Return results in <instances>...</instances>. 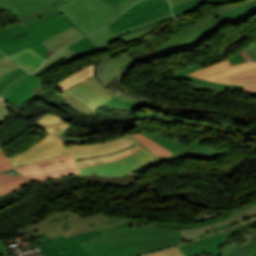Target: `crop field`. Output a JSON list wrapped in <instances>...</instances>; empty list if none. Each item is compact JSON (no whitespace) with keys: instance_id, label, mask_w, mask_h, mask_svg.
Wrapping results in <instances>:
<instances>
[{"instance_id":"crop-field-34","label":"crop field","mask_w":256,"mask_h":256,"mask_svg":"<svg viewBox=\"0 0 256 256\" xmlns=\"http://www.w3.org/2000/svg\"><path fill=\"white\" fill-rule=\"evenodd\" d=\"M163 23L142 29V30H138L135 32H132L130 34L124 35L119 37L120 39H123L127 44L136 40H139L141 38H143L144 36L150 34L152 31H154L158 26H160Z\"/></svg>"},{"instance_id":"crop-field-17","label":"crop field","mask_w":256,"mask_h":256,"mask_svg":"<svg viewBox=\"0 0 256 256\" xmlns=\"http://www.w3.org/2000/svg\"><path fill=\"white\" fill-rule=\"evenodd\" d=\"M219 154L218 152L212 151L210 149L204 148L199 145V143L192 141L186 147L180 149L171 156H180V157H194V158H203V159H214Z\"/></svg>"},{"instance_id":"crop-field-37","label":"crop field","mask_w":256,"mask_h":256,"mask_svg":"<svg viewBox=\"0 0 256 256\" xmlns=\"http://www.w3.org/2000/svg\"><path fill=\"white\" fill-rule=\"evenodd\" d=\"M17 67L19 66L0 51V78Z\"/></svg>"},{"instance_id":"crop-field-64","label":"crop field","mask_w":256,"mask_h":256,"mask_svg":"<svg viewBox=\"0 0 256 256\" xmlns=\"http://www.w3.org/2000/svg\"><path fill=\"white\" fill-rule=\"evenodd\" d=\"M241 54L244 56V58L246 59V61H251V57L248 55V53L243 49L240 51Z\"/></svg>"},{"instance_id":"crop-field-9","label":"crop field","mask_w":256,"mask_h":256,"mask_svg":"<svg viewBox=\"0 0 256 256\" xmlns=\"http://www.w3.org/2000/svg\"><path fill=\"white\" fill-rule=\"evenodd\" d=\"M207 80L244 85L243 90L256 91V62L220 73Z\"/></svg>"},{"instance_id":"crop-field-24","label":"crop field","mask_w":256,"mask_h":256,"mask_svg":"<svg viewBox=\"0 0 256 256\" xmlns=\"http://www.w3.org/2000/svg\"><path fill=\"white\" fill-rule=\"evenodd\" d=\"M251 62H254V61H251ZM247 63H250V62H245V63H241V64H238V65L232 66L229 63V61L226 60V61L220 62L218 64L212 65L210 67H207V68H204V69L192 72V73L187 74V75H190V76H193V77H196V78L205 79V78L211 77V76H213L215 74H218L220 72H223V71H226V70H229V69H232V68H235V67L247 64Z\"/></svg>"},{"instance_id":"crop-field-59","label":"crop field","mask_w":256,"mask_h":256,"mask_svg":"<svg viewBox=\"0 0 256 256\" xmlns=\"http://www.w3.org/2000/svg\"><path fill=\"white\" fill-rule=\"evenodd\" d=\"M64 142H82L81 138H69V137H64L61 139Z\"/></svg>"},{"instance_id":"crop-field-14","label":"crop field","mask_w":256,"mask_h":256,"mask_svg":"<svg viewBox=\"0 0 256 256\" xmlns=\"http://www.w3.org/2000/svg\"><path fill=\"white\" fill-rule=\"evenodd\" d=\"M54 0H0V11L6 9L13 17L21 19L47 6Z\"/></svg>"},{"instance_id":"crop-field-40","label":"crop field","mask_w":256,"mask_h":256,"mask_svg":"<svg viewBox=\"0 0 256 256\" xmlns=\"http://www.w3.org/2000/svg\"><path fill=\"white\" fill-rule=\"evenodd\" d=\"M64 100H66L67 102H69L71 105H73L75 108H77L78 110L88 114L90 111H92L93 109H91L90 107L86 106L85 104H83L82 102L78 101L77 99H75L74 97L68 95L67 93L64 94Z\"/></svg>"},{"instance_id":"crop-field-15","label":"crop field","mask_w":256,"mask_h":256,"mask_svg":"<svg viewBox=\"0 0 256 256\" xmlns=\"http://www.w3.org/2000/svg\"><path fill=\"white\" fill-rule=\"evenodd\" d=\"M256 13V0L233 4L215 12L220 22L235 26Z\"/></svg>"},{"instance_id":"crop-field-45","label":"crop field","mask_w":256,"mask_h":256,"mask_svg":"<svg viewBox=\"0 0 256 256\" xmlns=\"http://www.w3.org/2000/svg\"><path fill=\"white\" fill-rule=\"evenodd\" d=\"M158 105H160V104H158ZM143 106H146V107H153L154 109H161V110H164V111H168V112H170V113H173V114H182L181 111L200 112V111H194V110L175 109V108H170V107L163 106V105H160L161 107H158V106H154V105L144 104ZM204 113H207V112H204Z\"/></svg>"},{"instance_id":"crop-field-43","label":"crop field","mask_w":256,"mask_h":256,"mask_svg":"<svg viewBox=\"0 0 256 256\" xmlns=\"http://www.w3.org/2000/svg\"><path fill=\"white\" fill-rule=\"evenodd\" d=\"M32 50L43 56L44 58H49L54 53L50 51L46 46H44L42 43L30 47Z\"/></svg>"},{"instance_id":"crop-field-55","label":"crop field","mask_w":256,"mask_h":256,"mask_svg":"<svg viewBox=\"0 0 256 256\" xmlns=\"http://www.w3.org/2000/svg\"><path fill=\"white\" fill-rule=\"evenodd\" d=\"M152 1H154V0H144V1H141V2H139V3H137V4H135L134 6L130 7V8L127 9L126 11L129 12V11H131V10H134V9L140 7V6H143V5H145V4H148V3L152 2Z\"/></svg>"},{"instance_id":"crop-field-35","label":"crop field","mask_w":256,"mask_h":256,"mask_svg":"<svg viewBox=\"0 0 256 256\" xmlns=\"http://www.w3.org/2000/svg\"><path fill=\"white\" fill-rule=\"evenodd\" d=\"M179 79H185L188 80L192 83H197L205 86H210V87H216V88H233V89H242L243 86H237V85H228V84H221V83H215L211 81H206V80H200L196 79L187 75L181 76L179 78H176V80Z\"/></svg>"},{"instance_id":"crop-field-29","label":"crop field","mask_w":256,"mask_h":256,"mask_svg":"<svg viewBox=\"0 0 256 256\" xmlns=\"http://www.w3.org/2000/svg\"><path fill=\"white\" fill-rule=\"evenodd\" d=\"M64 57L70 59V60H74L78 57H80L77 53L73 52L72 50H70L69 48L65 47L62 50H60L59 52H57L52 58H50L47 62H45L41 68L34 73V75L40 73L41 71L45 70L46 68L50 67L51 65H53L54 63L58 62L59 60L63 59Z\"/></svg>"},{"instance_id":"crop-field-7","label":"crop field","mask_w":256,"mask_h":256,"mask_svg":"<svg viewBox=\"0 0 256 256\" xmlns=\"http://www.w3.org/2000/svg\"><path fill=\"white\" fill-rule=\"evenodd\" d=\"M170 12L171 10L167 0H158L132 12L127 13L125 11L119 18L108 24V26L116 33L143 21L157 18Z\"/></svg>"},{"instance_id":"crop-field-25","label":"crop field","mask_w":256,"mask_h":256,"mask_svg":"<svg viewBox=\"0 0 256 256\" xmlns=\"http://www.w3.org/2000/svg\"><path fill=\"white\" fill-rule=\"evenodd\" d=\"M131 59L126 53L119 55L112 60H109L102 66L101 78L105 83H108L113 74L125 62Z\"/></svg>"},{"instance_id":"crop-field-49","label":"crop field","mask_w":256,"mask_h":256,"mask_svg":"<svg viewBox=\"0 0 256 256\" xmlns=\"http://www.w3.org/2000/svg\"><path fill=\"white\" fill-rule=\"evenodd\" d=\"M203 68L202 66H200L199 64L195 65V66H192V67H189L187 69H184L182 71H178V72H175V74L169 76L171 79L172 78H175V77H178L180 75H183V74H186V73H189V72H192V71H195V70H198V69H201Z\"/></svg>"},{"instance_id":"crop-field-48","label":"crop field","mask_w":256,"mask_h":256,"mask_svg":"<svg viewBox=\"0 0 256 256\" xmlns=\"http://www.w3.org/2000/svg\"><path fill=\"white\" fill-rule=\"evenodd\" d=\"M223 256H245V255L230 246H226L225 248H223Z\"/></svg>"},{"instance_id":"crop-field-19","label":"crop field","mask_w":256,"mask_h":256,"mask_svg":"<svg viewBox=\"0 0 256 256\" xmlns=\"http://www.w3.org/2000/svg\"><path fill=\"white\" fill-rule=\"evenodd\" d=\"M43 130H46L50 133H54L57 135L60 139L63 138L61 135L64 132V130L69 125L68 123L60 120L59 118L52 116V115H45L43 118H41L39 121H37L35 124H33Z\"/></svg>"},{"instance_id":"crop-field-31","label":"crop field","mask_w":256,"mask_h":256,"mask_svg":"<svg viewBox=\"0 0 256 256\" xmlns=\"http://www.w3.org/2000/svg\"><path fill=\"white\" fill-rule=\"evenodd\" d=\"M135 136L139 141H141L144 145H146L149 149H151L154 153L157 155H163V156H169L173 153L165 149L164 147L160 146L156 142L150 140L149 138L141 135V134H136L133 135Z\"/></svg>"},{"instance_id":"crop-field-65","label":"crop field","mask_w":256,"mask_h":256,"mask_svg":"<svg viewBox=\"0 0 256 256\" xmlns=\"http://www.w3.org/2000/svg\"><path fill=\"white\" fill-rule=\"evenodd\" d=\"M245 50L249 53L253 60L256 59V55L252 52V50L249 49V47L245 48Z\"/></svg>"},{"instance_id":"crop-field-13","label":"crop field","mask_w":256,"mask_h":256,"mask_svg":"<svg viewBox=\"0 0 256 256\" xmlns=\"http://www.w3.org/2000/svg\"><path fill=\"white\" fill-rule=\"evenodd\" d=\"M44 83L33 75L25 76L11 86L3 95L5 100L19 106L28 100L34 98L31 90L41 86Z\"/></svg>"},{"instance_id":"crop-field-11","label":"crop field","mask_w":256,"mask_h":256,"mask_svg":"<svg viewBox=\"0 0 256 256\" xmlns=\"http://www.w3.org/2000/svg\"><path fill=\"white\" fill-rule=\"evenodd\" d=\"M227 242L225 232L213 234L192 243L179 246L184 256H195L203 252L217 256L218 247Z\"/></svg>"},{"instance_id":"crop-field-26","label":"crop field","mask_w":256,"mask_h":256,"mask_svg":"<svg viewBox=\"0 0 256 256\" xmlns=\"http://www.w3.org/2000/svg\"><path fill=\"white\" fill-rule=\"evenodd\" d=\"M93 68L94 65H90L88 67H84L74 73H72L71 75L67 76L65 79H63L61 82L53 85V87H57V88H61V89H65L71 85H73L74 83L84 79L85 77L93 74Z\"/></svg>"},{"instance_id":"crop-field-61","label":"crop field","mask_w":256,"mask_h":256,"mask_svg":"<svg viewBox=\"0 0 256 256\" xmlns=\"http://www.w3.org/2000/svg\"><path fill=\"white\" fill-rule=\"evenodd\" d=\"M135 145V144H134ZM133 146V145H132ZM131 147V146H130ZM129 147L121 150V151H124L126 149H128ZM121 151H118V152H121ZM118 152H115V153H118ZM111 154H114V153H111ZM106 155H110V154H105V155H99V156H94V157H88V158H80V159H75L76 161H79V160H85V159H90V158H95V157H101V156H106Z\"/></svg>"},{"instance_id":"crop-field-36","label":"crop field","mask_w":256,"mask_h":256,"mask_svg":"<svg viewBox=\"0 0 256 256\" xmlns=\"http://www.w3.org/2000/svg\"><path fill=\"white\" fill-rule=\"evenodd\" d=\"M142 134H144V133H142ZM144 135L151 138L152 140L156 141L157 143L164 146L165 148H167L168 150H170L173 153L176 152L177 150H179L180 148H182L183 146H185L183 144L171 141L169 139H164L159 136H154V135H149V134H144Z\"/></svg>"},{"instance_id":"crop-field-63","label":"crop field","mask_w":256,"mask_h":256,"mask_svg":"<svg viewBox=\"0 0 256 256\" xmlns=\"http://www.w3.org/2000/svg\"><path fill=\"white\" fill-rule=\"evenodd\" d=\"M172 6L181 4L183 2L189 1V0H169Z\"/></svg>"},{"instance_id":"crop-field-30","label":"crop field","mask_w":256,"mask_h":256,"mask_svg":"<svg viewBox=\"0 0 256 256\" xmlns=\"http://www.w3.org/2000/svg\"><path fill=\"white\" fill-rule=\"evenodd\" d=\"M25 74H28V72L20 67L0 79V97L5 90Z\"/></svg>"},{"instance_id":"crop-field-60","label":"crop field","mask_w":256,"mask_h":256,"mask_svg":"<svg viewBox=\"0 0 256 256\" xmlns=\"http://www.w3.org/2000/svg\"><path fill=\"white\" fill-rule=\"evenodd\" d=\"M138 149H140V147L137 148L136 150H138ZM136 150H134V151H136ZM134 151H133V152H134ZM131 153H132V152H131ZM129 154H130V153H129ZM129 154H127V155H129ZM127 155H124V156H121V157H118V158H115V159H112V160L120 159V158H123V157H125V156H127ZM112 160H108V161H104V162H99V163H93V164H87V165H81V166L95 165V164H100V163L109 162V161H112ZM81 166H78V167H81Z\"/></svg>"},{"instance_id":"crop-field-22","label":"crop field","mask_w":256,"mask_h":256,"mask_svg":"<svg viewBox=\"0 0 256 256\" xmlns=\"http://www.w3.org/2000/svg\"><path fill=\"white\" fill-rule=\"evenodd\" d=\"M66 1H68V0H56L52 3H50L51 6L45 8L29 17H26V18L20 20V22H21L20 25L25 29L31 25H34L38 22H41V21L59 13L53 6L62 4Z\"/></svg>"},{"instance_id":"crop-field-28","label":"crop field","mask_w":256,"mask_h":256,"mask_svg":"<svg viewBox=\"0 0 256 256\" xmlns=\"http://www.w3.org/2000/svg\"><path fill=\"white\" fill-rule=\"evenodd\" d=\"M67 47L74 50L75 52H77L81 56H86V55H89L91 53L99 51L87 36L82 38L81 40L67 46Z\"/></svg>"},{"instance_id":"crop-field-6","label":"crop field","mask_w":256,"mask_h":256,"mask_svg":"<svg viewBox=\"0 0 256 256\" xmlns=\"http://www.w3.org/2000/svg\"><path fill=\"white\" fill-rule=\"evenodd\" d=\"M101 235L99 229L73 235L67 239L61 235L39 247L44 256H93L79 242ZM60 250L62 251L61 253L59 252Z\"/></svg>"},{"instance_id":"crop-field-33","label":"crop field","mask_w":256,"mask_h":256,"mask_svg":"<svg viewBox=\"0 0 256 256\" xmlns=\"http://www.w3.org/2000/svg\"><path fill=\"white\" fill-rule=\"evenodd\" d=\"M71 158H73L72 155L70 153H67V154H63V155L50 157V158H47V159H44V160H41V161H37V162H31V163L15 166V168L18 169V170H21V169H25V168H29V167H34V166H39V165H44V164H50V163H54V162H58V161L71 159Z\"/></svg>"},{"instance_id":"crop-field-18","label":"crop field","mask_w":256,"mask_h":256,"mask_svg":"<svg viewBox=\"0 0 256 256\" xmlns=\"http://www.w3.org/2000/svg\"><path fill=\"white\" fill-rule=\"evenodd\" d=\"M81 37H83V35H81L77 30L72 27L42 43L55 53L60 48Z\"/></svg>"},{"instance_id":"crop-field-39","label":"crop field","mask_w":256,"mask_h":256,"mask_svg":"<svg viewBox=\"0 0 256 256\" xmlns=\"http://www.w3.org/2000/svg\"><path fill=\"white\" fill-rule=\"evenodd\" d=\"M203 0H192L181 5L175 6L172 8L175 16H179L180 14L194 8L195 6L199 5Z\"/></svg>"},{"instance_id":"crop-field-58","label":"crop field","mask_w":256,"mask_h":256,"mask_svg":"<svg viewBox=\"0 0 256 256\" xmlns=\"http://www.w3.org/2000/svg\"><path fill=\"white\" fill-rule=\"evenodd\" d=\"M0 256H8L6 246L3 244V240H0Z\"/></svg>"},{"instance_id":"crop-field-8","label":"crop field","mask_w":256,"mask_h":256,"mask_svg":"<svg viewBox=\"0 0 256 256\" xmlns=\"http://www.w3.org/2000/svg\"><path fill=\"white\" fill-rule=\"evenodd\" d=\"M67 152L58 138L49 134L22 152L8 158L12 165L15 166Z\"/></svg>"},{"instance_id":"crop-field-5","label":"crop field","mask_w":256,"mask_h":256,"mask_svg":"<svg viewBox=\"0 0 256 256\" xmlns=\"http://www.w3.org/2000/svg\"><path fill=\"white\" fill-rule=\"evenodd\" d=\"M159 157H152L142 149L120 160L105 164L81 167V175L120 176L135 170Z\"/></svg>"},{"instance_id":"crop-field-20","label":"crop field","mask_w":256,"mask_h":256,"mask_svg":"<svg viewBox=\"0 0 256 256\" xmlns=\"http://www.w3.org/2000/svg\"><path fill=\"white\" fill-rule=\"evenodd\" d=\"M68 94L74 96L93 109L107 101L83 85L68 92Z\"/></svg>"},{"instance_id":"crop-field-47","label":"crop field","mask_w":256,"mask_h":256,"mask_svg":"<svg viewBox=\"0 0 256 256\" xmlns=\"http://www.w3.org/2000/svg\"><path fill=\"white\" fill-rule=\"evenodd\" d=\"M148 256H183V254L180 252L178 247H175V248L169 249L167 251L154 253V254H151Z\"/></svg>"},{"instance_id":"crop-field-69","label":"crop field","mask_w":256,"mask_h":256,"mask_svg":"<svg viewBox=\"0 0 256 256\" xmlns=\"http://www.w3.org/2000/svg\"><path fill=\"white\" fill-rule=\"evenodd\" d=\"M14 169L13 168H11V169H8V170H5V171H2V172H0V173H4V172H8V171H13Z\"/></svg>"},{"instance_id":"crop-field-54","label":"crop field","mask_w":256,"mask_h":256,"mask_svg":"<svg viewBox=\"0 0 256 256\" xmlns=\"http://www.w3.org/2000/svg\"><path fill=\"white\" fill-rule=\"evenodd\" d=\"M140 0H124L120 4L121 7H123L125 10L132 6L133 4L137 3Z\"/></svg>"},{"instance_id":"crop-field-51","label":"crop field","mask_w":256,"mask_h":256,"mask_svg":"<svg viewBox=\"0 0 256 256\" xmlns=\"http://www.w3.org/2000/svg\"><path fill=\"white\" fill-rule=\"evenodd\" d=\"M9 116H11V114L5 109L4 107V103L1 102L0 103V124L6 120ZM1 145H0V149H1Z\"/></svg>"},{"instance_id":"crop-field-12","label":"crop field","mask_w":256,"mask_h":256,"mask_svg":"<svg viewBox=\"0 0 256 256\" xmlns=\"http://www.w3.org/2000/svg\"><path fill=\"white\" fill-rule=\"evenodd\" d=\"M132 144H134V142H132L130 139L120 138L110 142L72 146L68 148L72 152L74 158H80L115 152Z\"/></svg>"},{"instance_id":"crop-field-53","label":"crop field","mask_w":256,"mask_h":256,"mask_svg":"<svg viewBox=\"0 0 256 256\" xmlns=\"http://www.w3.org/2000/svg\"><path fill=\"white\" fill-rule=\"evenodd\" d=\"M232 65L234 64H238L241 62H245V59L242 57V55L240 54V52L238 54H236L234 57L228 59Z\"/></svg>"},{"instance_id":"crop-field-3","label":"crop field","mask_w":256,"mask_h":256,"mask_svg":"<svg viewBox=\"0 0 256 256\" xmlns=\"http://www.w3.org/2000/svg\"><path fill=\"white\" fill-rule=\"evenodd\" d=\"M71 26L82 33L61 14H57L25 30L18 24H14L0 31V48L8 56L38 44ZM82 34L86 36L84 33Z\"/></svg>"},{"instance_id":"crop-field-2","label":"crop field","mask_w":256,"mask_h":256,"mask_svg":"<svg viewBox=\"0 0 256 256\" xmlns=\"http://www.w3.org/2000/svg\"><path fill=\"white\" fill-rule=\"evenodd\" d=\"M226 23H220L216 18L215 14L207 16L201 21L186 27L181 30L175 36H173L169 41L156 48L153 52L146 55H142L129 60L126 64L120 67L119 74L125 70L127 71L121 82L128 74V72L139 62H147L154 58L174 55L182 51H191L196 48L200 43L210 38L214 34L218 33L220 29ZM185 53V52H184Z\"/></svg>"},{"instance_id":"crop-field-52","label":"crop field","mask_w":256,"mask_h":256,"mask_svg":"<svg viewBox=\"0 0 256 256\" xmlns=\"http://www.w3.org/2000/svg\"><path fill=\"white\" fill-rule=\"evenodd\" d=\"M193 88L201 89V90H208V91H215V92H222L224 93L225 89H216V88H210V87H205L197 84H191ZM232 90V89H229Z\"/></svg>"},{"instance_id":"crop-field-68","label":"crop field","mask_w":256,"mask_h":256,"mask_svg":"<svg viewBox=\"0 0 256 256\" xmlns=\"http://www.w3.org/2000/svg\"><path fill=\"white\" fill-rule=\"evenodd\" d=\"M112 4H114L116 7L119 6L118 3L122 0H109Z\"/></svg>"},{"instance_id":"crop-field-4","label":"crop field","mask_w":256,"mask_h":256,"mask_svg":"<svg viewBox=\"0 0 256 256\" xmlns=\"http://www.w3.org/2000/svg\"><path fill=\"white\" fill-rule=\"evenodd\" d=\"M55 8L86 35L105 26L125 11L107 0H71Z\"/></svg>"},{"instance_id":"crop-field-44","label":"crop field","mask_w":256,"mask_h":256,"mask_svg":"<svg viewBox=\"0 0 256 256\" xmlns=\"http://www.w3.org/2000/svg\"><path fill=\"white\" fill-rule=\"evenodd\" d=\"M247 256H256V242L236 248Z\"/></svg>"},{"instance_id":"crop-field-41","label":"crop field","mask_w":256,"mask_h":256,"mask_svg":"<svg viewBox=\"0 0 256 256\" xmlns=\"http://www.w3.org/2000/svg\"><path fill=\"white\" fill-rule=\"evenodd\" d=\"M104 256H137L130 245H126L122 248L116 249Z\"/></svg>"},{"instance_id":"crop-field-21","label":"crop field","mask_w":256,"mask_h":256,"mask_svg":"<svg viewBox=\"0 0 256 256\" xmlns=\"http://www.w3.org/2000/svg\"><path fill=\"white\" fill-rule=\"evenodd\" d=\"M28 181L19 173L12 175L10 172L0 175V195L28 185Z\"/></svg>"},{"instance_id":"crop-field-1","label":"crop field","mask_w":256,"mask_h":256,"mask_svg":"<svg viewBox=\"0 0 256 256\" xmlns=\"http://www.w3.org/2000/svg\"><path fill=\"white\" fill-rule=\"evenodd\" d=\"M254 202L231 211L229 215L191 226L157 224L158 222L154 221L128 218H108L102 213L81 218L74 213L60 212L26 229L34 237L46 233L53 239L61 234L67 238L73 234L100 228L103 236L81 242L88 252L95 256H102L115 248L130 244L140 255L193 240L211 231V228L235 219L238 222L245 220L256 214Z\"/></svg>"},{"instance_id":"crop-field-62","label":"crop field","mask_w":256,"mask_h":256,"mask_svg":"<svg viewBox=\"0 0 256 256\" xmlns=\"http://www.w3.org/2000/svg\"><path fill=\"white\" fill-rule=\"evenodd\" d=\"M234 223H237V220H235V221H233V222H230V223H228V224L221 225V226H218V227H216V228H213V231H215V230H220V229L225 228V227H227V226H229V225H232V224H234Z\"/></svg>"},{"instance_id":"crop-field-50","label":"crop field","mask_w":256,"mask_h":256,"mask_svg":"<svg viewBox=\"0 0 256 256\" xmlns=\"http://www.w3.org/2000/svg\"><path fill=\"white\" fill-rule=\"evenodd\" d=\"M11 168L10 163L8 162L3 150H0V171Z\"/></svg>"},{"instance_id":"crop-field-16","label":"crop field","mask_w":256,"mask_h":256,"mask_svg":"<svg viewBox=\"0 0 256 256\" xmlns=\"http://www.w3.org/2000/svg\"><path fill=\"white\" fill-rule=\"evenodd\" d=\"M9 57L30 73L37 69L46 60L29 48Z\"/></svg>"},{"instance_id":"crop-field-66","label":"crop field","mask_w":256,"mask_h":256,"mask_svg":"<svg viewBox=\"0 0 256 256\" xmlns=\"http://www.w3.org/2000/svg\"><path fill=\"white\" fill-rule=\"evenodd\" d=\"M249 47H250V49H252V50L254 51V53L256 54V41H255L252 45H250Z\"/></svg>"},{"instance_id":"crop-field-70","label":"crop field","mask_w":256,"mask_h":256,"mask_svg":"<svg viewBox=\"0 0 256 256\" xmlns=\"http://www.w3.org/2000/svg\"><path fill=\"white\" fill-rule=\"evenodd\" d=\"M250 93L256 96V92H250Z\"/></svg>"},{"instance_id":"crop-field-32","label":"crop field","mask_w":256,"mask_h":256,"mask_svg":"<svg viewBox=\"0 0 256 256\" xmlns=\"http://www.w3.org/2000/svg\"><path fill=\"white\" fill-rule=\"evenodd\" d=\"M74 165H76V164H75L74 160L72 159V160L59 162V163H55V164L29 168V169L21 170L19 172H21L23 175H25V174H29V173L64 168V167H69V166H74Z\"/></svg>"},{"instance_id":"crop-field-46","label":"crop field","mask_w":256,"mask_h":256,"mask_svg":"<svg viewBox=\"0 0 256 256\" xmlns=\"http://www.w3.org/2000/svg\"><path fill=\"white\" fill-rule=\"evenodd\" d=\"M115 97L124 99V100H126V101L138 103V104H140V105H143L144 103L155 104V103H153V102H149V101H146V100H144V99L131 97V96H129V95H125V94H121V93H119V94H118L117 96H115ZM155 105H157V104H155Z\"/></svg>"},{"instance_id":"crop-field-67","label":"crop field","mask_w":256,"mask_h":256,"mask_svg":"<svg viewBox=\"0 0 256 256\" xmlns=\"http://www.w3.org/2000/svg\"><path fill=\"white\" fill-rule=\"evenodd\" d=\"M172 158H174V157H162L160 159H157V161L162 162V161H166V160L172 159Z\"/></svg>"},{"instance_id":"crop-field-27","label":"crop field","mask_w":256,"mask_h":256,"mask_svg":"<svg viewBox=\"0 0 256 256\" xmlns=\"http://www.w3.org/2000/svg\"><path fill=\"white\" fill-rule=\"evenodd\" d=\"M77 173H79V171L77 167L74 166V167H69V168H64L59 170L30 174V175H26L25 177L29 180V182H32L36 180L66 176V175L77 174Z\"/></svg>"},{"instance_id":"crop-field-71","label":"crop field","mask_w":256,"mask_h":256,"mask_svg":"<svg viewBox=\"0 0 256 256\" xmlns=\"http://www.w3.org/2000/svg\"><path fill=\"white\" fill-rule=\"evenodd\" d=\"M0 100H1V98H0Z\"/></svg>"},{"instance_id":"crop-field-10","label":"crop field","mask_w":256,"mask_h":256,"mask_svg":"<svg viewBox=\"0 0 256 256\" xmlns=\"http://www.w3.org/2000/svg\"><path fill=\"white\" fill-rule=\"evenodd\" d=\"M173 15L172 13L164 15L160 18L153 19L150 21L143 22L137 26H134L132 28H129L127 30L121 31L119 33L114 34L108 26L101 28L100 30L88 35V37L92 40V42L98 47L100 51L111 49V47L108 45L110 43H113L115 41H118L117 38L120 35L127 34L129 32L145 28L163 21H167L172 19Z\"/></svg>"},{"instance_id":"crop-field-42","label":"crop field","mask_w":256,"mask_h":256,"mask_svg":"<svg viewBox=\"0 0 256 256\" xmlns=\"http://www.w3.org/2000/svg\"><path fill=\"white\" fill-rule=\"evenodd\" d=\"M137 147L139 146H134L124 152H121V153H118V154H115V155H110V156H106V157H101V158H95V159H90V160H85V161H79V162H76L77 165H80V164H86V163H92V162H98V161H103V160H107V159H111V158H115V157H118V156H121V155H124L134 149H136Z\"/></svg>"},{"instance_id":"crop-field-57","label":"crop field","mask_w":256,"mask_h":256,"mask_svg":"<svg viewBox=\"0 0 256 256\" xmlns=\"http://www.w3.org/2000/svg\"><path fill=\"white\" fill-rule=\"evenodd\" d=\"M129 138H131L133 141H135L138 145H140L143 149H145L148 153L154 154L151 150H149L146 146H144L141 142H139L135 137H133L132 135H127Z\"/></svg>"},{"instance_id":"crop-field-38","label":"crop field","mask_w":256,"mask_h":256,"mask_svg":"<svg viewBox=\"0 0 256 256\" xmlns=\"http://www.w3.org/2000/svg\"><path fill=\"white\" fill-rule=\"evenodd\" d=\"M105 105L120 107V108L134 110V111L139 110V108L141 107L140 105L129 103L116 98L111 99L109 102L105 103Z\"/></svg>"},{"instance_id":"crop-field-23","label":"crop field","mask_w":256,"mask_h":256,"mask_svg":"<svg viewBox=\"0 0 256 256\" xmlns=\"http://www.w3.org/2000/svg\"><path fill=\"white\" fill-rule=\"evenodd\" d=\"M85 85L86 87L90 88L91 90H93L94 92H96L97 94H99L100 96L104 97L105 99L109 100L112 96H114L116 94V92L108 89L107 87L103 86L98 79L95 78L94 75L76 83L75 85L65 89L64 91L67 92L79 85Z\"/></svg>"},{"instance_id":"crop-field-56","label":"crop field","mask_w":256,"mask_h":256,"mask_svg":"<svg viewBox=\"0 0 256 256\" xmlns=\"http://www.w3.org/2000/svg\"><path fill=\"white\" fill-rule=\"evenodd\" d=\"M212 5H220V4H225V3H230V2H235L239 0H209Z\"/></svg>"}]
</instances>
